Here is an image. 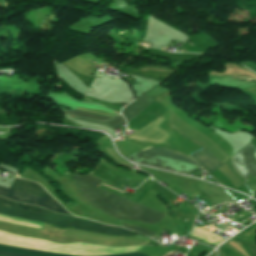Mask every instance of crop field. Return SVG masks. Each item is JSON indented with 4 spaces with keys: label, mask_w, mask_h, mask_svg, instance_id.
I'll return each instance as SVG.
<instances>
[{
    "label": "crop field",
    "mask_w": 256,
    "mask_h": 256,
    "mask_svg": "<svg viewBox=\"0 0 256 256\" xmlns=\"http://www.w3.org/2000/svg\"><path fill=\"white\" fill-rule=\"evenodd\" d=\"M254 155H255V157H256V151H255Z\"/></svg>",
    "instance_id": "d1516ede"
},
{
    "label": "crop field",
    "mask_w": 256,
    "mask_h": 256,
    "mask_svg": "<svg viewBox=\"0 0 256 256\" xmlns=\"http://www.w3.org/2000/svg\"><path fill=\"white\" fill-rule=\"evenodd\" d=\"M80 195L93 207L121 220H134L146 224L158 223L165 214L126 200L111 192L96 187L102 181L86 175L71 174Z\"/></svg>",
    "instance_id": "8a807250"
},
{
    "label": "crop field",
    "mask_w": 256,
    "mask_h": 256,
    "mask_svg": "<svg viewBox=\"0 0 256 256\" xmlns=\"http://www.w3.org/2000/svg\"><path fill=\"white\" fill-rule=\"evenodd\" d=\"M0 196L70 215L57 201L47 194L42 186L33 182L15 178L9 189L0 187Z\"/></svg>",
    "instance_id": "34b2d1b8"
},
{
    "label": "crop field",
    "mask_w": 256,
    "mask_h": 256,
    "mask_svg": "<svg viewBox=\"0 0 256 256\" xmlns=\"http://www.w3.org/2000/svg\"><path fill=\"white\" fill-rule=\"evenodd\" d=\"M103 185V184H102Z\"/></svg>",
    "instance_id": "cbeb9de0"
},
{
    "label": "crop field",
    "mask_w": 256,
    "mask_h": 256,
    "mask_svg": "<svg viewBox=\"0 0 256 256\" xmlns=\"http://www.w3.org/2000/svg\"><path fill=\"white\" fill-rule=\"evenodd\" d=\"M75 119H80V120H84V121H89V122H94V123H98V124H102L105 125L107 127H109L111 130H113L117 125H119L124 118L121 115H117L116 117L106 121V122H98V121H91V120H85V119H81V118H77L74 117Z\"/></svg>",
    "instance_id": "d8731c3e"
},
{
    "label": "crop field",
    "mask_w": 256,
    "mask_h": 256,
    "mask_svg": "<svg viewBox=\"0 0 256 256\" xmlns=\"http://www.w3.org/2000/svg\"><path fill=\"white\" fill-rule=\"evenodd\" d=\"M255 146L249 142L236 155L233 156V164L236 170L247 178L248 173L256 176V159L253 156Z\"/></svg>",
    "instance_id": "f4fd0767"
},
{
    "label": "crop field",
    "mask_w": 256,
    "mask_h": 256,
    "mask_svg": "<svg viewBox=\"0 0 256 256\" xmlns=\"http://www.w3.org/2000/svg\"><path fill=\"white\" fill-rule=\"evenodd\" d=\"M169 126H171L168 123ZM174 130H176L181 135L185 136L195 144L201 146L203 150L194 152L190 157L195 160L197 163H199L203 168H205L209 172L215 171L219 166L222 165V163L214 157L205 147H203L201 144L197 143L196 141L192 140L191 138L187 137L177 129H175L173 126H171Z\"/></svg>",
    "instance_id": "dd49c442"
},
{
    "label": "crop field",
    "mask_w": 256,
    "mask_h": 256,
    "mask_svg": "<svg viewBox=\"0 0 256 256\" xmlns=\"http://www.w3.org/2000/svg\"><path fill=\"white\" fill-rule=\"evenodd\" d=\"M143 151L197 165L189 157L184 156L179 152L169 150L163 147H150ZM145 152L139 151L129 155L127 158L139 163L147 164L150 166H154V167H158V168H162V169H166V170H170V171H174V172H178L186 175H188L189 173L193 172L198 168V166L155 156Z\"/></svg>",
    "instance_id": "412701ff"
},
{
    "label": "crop field",
    "mask_w": 256,
    "mask_h": 256,
    "mask_svg": "<svg viewBox=\"0 0 256 256\" xmlns=\"http://www.w3.org/2000/svg\"><path fill=\"white\" fill-rule=\"evenodd\" d=\"M123 227L127 228V229H130L132 231H135L137 233H140V234H143L145 236H153L155 233L154 232H151L149 230H146V229H143V228H140V227H137V226H134V225H130V224H124L123 223Z\"/></svg>",
    "instance_id": "3316defc"
},
{
    "label": "crop field",
    "mask_w": 256,
    "mask_h": 256,
    "mask_svg": "<svg viewBox=\"0 0 256 256\" xmlns=\"http://www.w3.org/2000/svg\"><path fill=\"white\" fill-rule=\"evenodd\" d=\"M0 255H2V256H20V255H15V254L7 253V252H0Z\"/></svg>",
    "instance_id": "28ad6ade"
},
{
    "label": "crop field",
    "mask_w": 256,
    "mask_h": 256,
    "mask_svg": "<svg viewBox=\"0 0 256 256\" xmlns=\"http://www.w3.org/2000/svg\"><path fill=\"white\" fill-rule=\"evenodd\" d=\"M0 214L37 220L60 228H76L113 236H131V231L73 216L51 213L41 207L24 205L0 197Z\"/></svg>",
    "instance_id": "ac0d7876"
},
{
    "label": "crop field",
    "mask_w": 256,
    "mask_h": 256,
    "mask_svg": "<svg viewBox=\"0 0 256 256\" xmlns=\"http://www.w3.org/2000/svg\"><path fill=\"white\" fill-rule=\"evenodd\" d=\"M60 110L64 114L77 115V116H81V117H85V118H89V119H93V120L105 121V120L109 119V118H105V117H101V116H97V115L86 114L83 112L72 111V110H67V109H63V108H60Z\"/></svg>",
    "instance_id": "5a996713"
},
{
    "label": "crop field",
    "mask_w": 256,
    "mask_h": 256,
    "mask_svg": "<svg viewBox=\"0 0 256 256\" xmlns=\"http://www.w3.org/2000/svg\"><path fill=\"white\" fill-rule=\"evenodd\" d=\"M190 44V43H189ZM191 45V44H190ZM193 46V45H192ZM194 47V46H193Z\"/></svg>",
    "instance_id": "22f410ed"
},
{
    "label": "crop field",
    "mask_w": 256,
    "mask_h": 256,
    "mask_svg": "<svg viewBox=\"0 0 256 256\" xmlns=\"http://www.w3.org/2000/svg\"><path fill=\"white\" fill-rule=\"evenodd\" d=\"M152 101L153 99L150 96H148L146 93H144L134 102L127 105L122 111V115L125 117L126 121H129Z\"/></svg>",
    "instance_id": "e52e79f7"
}]
</instances>
